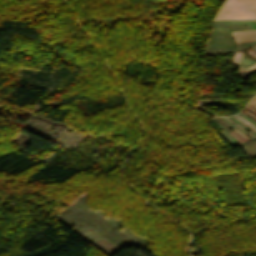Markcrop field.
Returning a JSON list of instances; mask_svg holds the SVG:
<instances>
[{
    "instance_id": "5",
    "label": "crop field",
    "mask_w": 256,
    "mask_h": 256,
    "mask_svg": "<svg viewBox=\"0 0 256 256\" xmlns=\"http://www.w3.org/2000/svg\"><path fill=\"white\" fill-rule=\"evenodd\" d=\"M248 54L256 58V51L249 50Z\"/></svg>"
},
{
    "instance_id": "2",
    "label": "crop field",
    "mask_w": 256,
    "mask_h": 256,
    "mask_svg": "<svg viewBox=\"0 0 256 256\" xmlns=\"http://www.w3.org/2000/svg\"><path fill=\"white\" fill-rule=\"evenodd\" d=\"M231 33L233 35V32ZM255 33H256V30H255ZM234 34L237 41L256 39L254 31H240ZM233 38H234V35H233ZM235 38H234V41L236 42Z\"/></svg>"
},
{
    "instance_id": "6",
    "label": "crop field",
    "mask_w": 256,
    "mask_h": 256,
    "mask_svg": "<svg viewBox=\"0 0 256 256\" xmlns=\"http://www.w3.org/2000/svg\"><path fill=\"white\" fill-rule=\"evenodd\" d=\"M248 69H250V70H256V64H254L253 66L249 67Z\"/></svg>"
},
{
    "instance_id": "8",
    "label": "crop field",
    "mask_w": 256,
    "mask_h": 256,
    "mask_svg": "<svg viewBox=\"0 0 256 256\" xmlns=\"http://www.w3.org/2000/svg\"><path fill=\"white\" fill-rule=\"evenodd\" d=\"M242 111H244V110H242ZM245 112V111H244ZM247 113V112H246ZM247 114H249V113H247ZM249 115H251V114H249ZM252 117H254V118H256L255 116H253V115H251Z\"/></svg>"
},
{
    "instance_id": "4",
    "label": "crop field",
    "mask_w": 256,
    "mask_h": 256,
    "mask_svg": "<svg viewBox=\"0 0 256 256\" xmlns=\"http://www.w3.org/2000/svg\"><path fill=\"white\" fill-rule=\"evenodd\" d=\"M247 105L251 107L256 106V96Z\"/></svg>"
},
{
    "instance_id": "1",
    "label": "crop field",
    "mask_w": 256,
    "mask_h": 256,
    "mask_svg": "<svg viewBox=\"0 0 256 256\" xmlns=\"http://www.w3.org/2000/svg\"><path fill=\"white\" fill-rule=\"evenodd\" d=\"M256 19V0H227L214 20Z\"/></svg>"
},
{
    "instance_id": "3",
    "label": "crop field",
    "mask_w": 256,
    "mask_h": 256,
    "mask_svg": "<svg viewBox=\"0 0 256 256\" xmlns=\"http://www.w3.org/2000/svg\"><path fill=\"white\" fill-rule=\"evenodd\" d=\"M243 53H240V52H236L235 55L233 56V60H232V64H238L241 56H242Z\"/></svg>"
},
{
    "instance_id": "7",
    "label": "crop field",
    "mask_w": 256,
    "mask_h": 256,
    "mask_svg": "<svg viewBox=\"0 0 256 256\" xmlns=\"http://www.w3.org/2000/svg\"><path fill=\"white\" fill-rule=\"evenodd\" d=\"M245 109H247V110L251 111L252 113L256 114V111L253 110V109H250V108H248V107H246Z\"/></svg>"
}]
</instances>
